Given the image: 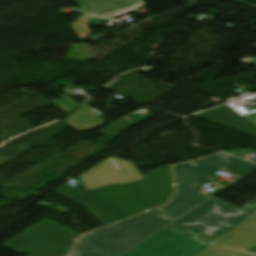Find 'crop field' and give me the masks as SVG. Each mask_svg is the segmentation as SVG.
Masks as SVG:
<instances>
[{
  "mask_svg": "<svg viewBox=\"0 0 256 256\" xmlns=\"http://www.w3.org/2000/svg\"><path fill=\"white\" fill-rule=\"evenodd\" d=\"M173 220L158 208L83 236L67 256H119Z\"/></svg>",
  "mask_w": 256,
  "mask_h": 256,
  "instance_id": "crop-field-1",
  "label": "crop field"
},
{
  "mask_svg": "<svg viewBox=\"0 0 256 256\" xmlns=\"http://www.w3.org/2000/svg\"><path fill=\"white\" fill-rule=\"evenodd\" d=\"M256 212V198L238 208L211 198L171 226L213 243Z\"/></svg>",
  "mask_w": 256,
  "mask_h": 256,
  "instance_id": "crop-field-2",
  "label": "crop field"
},
{
  "mask_svg": "<svg viewBox=\"0 0 256 256\" xmlns=\"http://www.w3.org/2000/svg\"><path fill=\"white\" fill-rule=\"evenodd\" d=\"M228 164L217 158H203L174 166L177 193L168 205L161 208L177 219L201 204L207 197L198 191L199 188L213 182L205 177Z\"/></svg>",
  "mask_w": 256,
  "mask_h": 256,
  "instance_id": "crop-field-3",
  "label": "crop field"
},
{
  "mask_svg": "<svg viewBox=\"0 0 256 256\" xmlns=\"http://www.w3.org/2000/svg\"><path fill=\"white\" fill-rule=\"evenodd\" d=\"M209 245L169 226L123 256H195Z\"/></svg>",
  "mask_w": 256,
  "mask_h": 256,
  "instance_id": "crop-field-4",
  "label": "crop field"
},
{
  "mask_svg": "<svg viewBox=\"0 0 256 256\" xmlns=\"http://www.w3.org/2000/svg\"><path fill=\"white\" fill-rule=\"evenodd\" d=\"M78 184L82 194L65 185L55 189V192L82 205L105 225L128 218V216L113 203L106 188L93 190L89 194L81 181Z\"/></svg>",
  "mask_w": 256,
  "mask_h": 256,
  "instance_id": "crop-field-5",
  "label": "crop field"
},
{
  "mask_svg": "<svg viewBox=\"0 0 256 256\" xmlns=\"http://www.w3.org/2000/svg\"><path fill=\"white\" fill-rule=\"evenodd\" d=\"M79 177L88 192L94 188L142 178L133 163L117 158L106 159Z\"/></svg>",
  "mask_w": 256,
  "mask_h": 256,
  "instance_id": "crop-field-6",
  "label": "crop field"
},
{
  "mask_svg": "<svg viewBox=\"0 0 256 256\" xmlns=\"http://www.w3.org/2000/svg\"><path fill=\"white\" fill-rule=\"evenodd\" d=\"M142 0H73L81 6V11L87 16L113 19L121 13H130L146 3Z\"/></svg>",
  "mask_w": 256,
  "mask_h": 256,
  "instance_id": "crop-field-7",
  "label": "crop field"
},
{
  "mask_svg": "<svg viewBox=\"0 0 256 256\" xmlns=\"http://www.w3.org/2000/svg\"><path fill=\"white\" fill-rule=\"evenodd\" d=\"M256 213L215 241L213 245L256 253Z\"/></svg>",
  "mask_w": 256,
  "mask_h": 256,
  "instance_id": "crop-field-8",
  "label": "crop field"
},
{
  "mask_svg": "<svg viewBox=\"0 0 256 256\" xmlns=\"http://www.w3.org/2000/svg\"><path fill=\"white\" fill-rule=\"evenodd\" d=\"M102 115L103 114L85 104L62 121L82 132L102 125V123L106 121L100 118Z\"/></svg>",
  "mask_w": 256,
  "mask_h": 256,
  "instance_id": "crop-field-9",
  "label": "crop field"
},
{
  "mask_svg": "<svg viewBox=\"0 0 256 256\" xmlns=\"http://www.w3.org/2000/svg\"><path fill=\"white\" fill-rule=\"evenodd\" d=\"M51 102L67 114L71 113L78 106L72 97L61 100H53Z\"/></svg>",
  "mask_w": 256,
  "mask_h": 256,
  "instance_id": "crop-field-10",
  "label": "crop field"
},
{
  "mask_svg": "<svg viewBox=\"0 0 256 256\" xmlns=\"http://www.w3.org/2000/svg\"><path fill=\"white\" fill-rule=\"evenodd\" d=\"M211 157H217L219 159H222L224 161H227L229 163H231L230 165H228L227 167L223 168V170H227V171H232L234 168H236L237 166H239L241 163H243L245 160L224 154V153H219L216 154L214 156Z\"/></svg>",
  "mask_w": 256,
  "mask_h": 256,
  "instance_id": "crop-field-11",
  "label": "crop field"
},
{
  "mask_svg": "<svg viewBox=\"0 0 256 256\" xmlns=\"http://www.w3.org/2000/svg\"><path fill=\"white\" fill-rule=\"evenodd\" d=\"M255 170L256 164L246 161L242 165L234 169L231 173L244 177Z\"/></svg>",
  "mask_w": 256,
  "mask_h": 256,
  "instance_id": "crop-field-12",
  "label": "crop field"
},
{
  "mask_svg": "<svg viewBox=\"0 0 256 256\" xmlns=\"http://www.w3.org/2000/svg\"><path fill=\"white\" fill-rule=\"evenodd\" d=\"M209 248H212V249H214V250H217V251H219V252H221V253H224V254H226V255H229V256H255V255L240 253V252L231 251V250H226V249H221V248L212 247V246H209Z\"/></svg>",
  "mask_w": 256,
  "mask_h": 256,
  "instance_id": "crop-field-13",
  "label": "crop field"
},
{
  "mask_svg": "<svg viewBox=\"0 0 256 256\" xmlns=\"http://www.w3.org/2000/svg\"><path fill=\"white\" fill-rule=\"evenodd\" d=\"M197 256H226L224 254H221L217 251L211 250L209 248L205 249L203 252L198 254Z\"/></svg>",
  "mask_w": 256,
  "mask_h": 256,
  "instance_id": "crop-field-14",
  "label": "crop field"
},
{
  "mask_svg": "<svg viewBox=\"0 0 256 256\" xmlns=\"http://www.w3.org/2000/svg\"><path fill=\"white\" fill-rule=\"evenodd\" d=\"M223 189H225V188L219 186V187H217L216 189H214L213 191L209 192V193L206 194V195L211 198L212 196H214V195L217 194L218 192L222 191Z\"/></svg>",
  "mask_w": 256,
  "mask_h": 256,
  "instance_id": "crop-field-15",
  "label": "crop field"
},
{
  "mask_svg": "<svg viewBox=\"0 0 256 256\" xmlns=\"http://www.w3.org/2000/svg\"><path fill=\"white\" fill-rule=\"evenodd\" d=\"M253 237H255V238H256V234H255Z\"/></svg>",
  "mask_w": 256,
  "mask_h": 256,
  "instance_id": "crop-field-16",
  "label": "crop field"
},
{
  "mask_svg": "<svg viewBox=\"0 0 256 256\" xmlns=\"http://www.w3.org/2000/svg\"><path fill=\"white\" fill-rule=\"evenodd\" d=\"M30 256H32V255H30Z\"/></svg>",
  "mask_w": 256,
  "mask_h": 256,
  "instance_id": "crop-field-17",
  "label": "crop field"
}]
</instances>
